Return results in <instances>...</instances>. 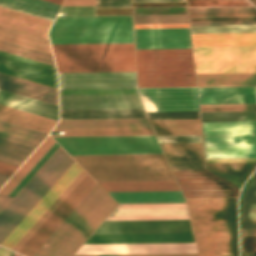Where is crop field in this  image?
<instances>
[{"mask_svg":"<svg viewBox=\"0 0 256 256\" xmlns=\"http://www.w3.org/2000/svg\"><path fill=\"white\" fill-rule=\"evenodd\" d=\"M53 139L69 155L162 153L155 136ZM71 157L96 182L175 181L163 154Z\"/></svg>","mask_w":256,"mask_h":256,"instance_id":"1","label":"crop field"},{"mask_svg":"<svg viewBox=\"0 0 256 256\" xmlns=\"http://www.w3.org/2000/svg\"><path fill=\"white\" fill-rule=\"evenodd\" d=\"M186 201L199 256H238L237 198Z\"/></svg>","mask_w":256,"mask_h":256,"instance_id":"2","label":"crop field"},{"mask_svg":"<svg viewBox=\"0 0 256 256\" xmlns=\"http://www.w3.org/2000/svg\"><path fill=\"white\" fill-rule=\"evenodd\" d=\"M116 205L96 184L33 256H71Z\"/></svg>","mask_w":256,"mask_h":256,"instance_id":"3","label":"crop field"},{"mask_svg":"<svg viewBox=\"0 0 256 256\" xmlns=\"http://www.w3.org/2000/svg\"><path fill=\"white\" fill-rule=\"evenodd\" d=\"M51 44L133 43L131 16L56 17Z\"/></svg>","mask_w":256,"mask_h":256,"instance_id":"4","label":"crop field"},{"mask_svg":"<svg viewBox=\"0 0 256 256\" xmlns=\"http://www.w3.org/2000/svg\"><path fill=\"white\" fill-rule=\"evenodd\" d=\"M51 47L58 72L135 71L133 44Z\"/></svg>","mask_w":256,"mask_h":256,"instance_id":"5","label":"crop field"},{"mask_svg":"<svg viewBox=\"0 0 256 256\" xmlns=\"http://www.w3.org/2000/svg\"><path fill=\"white\" fill-rule=\"evenodd\" d=\"M138 87L195 86L191 49L136 50Z\"/></svg>","mask_w":256,"mask_h":256,"instance_id":"6","label":"crop field"},{"mask_svg":"<svg viewBox=\"0 0 256 256\" xmlns=\"http://www.w3.org/2000/svg\"><path fill=\"white\" fill-rule=\"evenodd\" d=\"M74 161L59 147L0 212V244Z\"/></svg>","mask_w":256,"mask_h":256,"instance_id":"7","label":"crop field"},{"mask_svg":"<svg viewBox=\"0 0 256 256\" xmlns=\"http://www.w3.org/2000/svg\"><path fill=\"white\" fill-rule=\"evenodd\" d=\"M206 159L256 158V122L202 123Z\"/></svg>","mask_w":256,"mask_h":256,"instance_id":"8","label":"crop field"},{"mask_svg":"<svg viewBox=\"0 0 256 256\" xmlns=\"http://www.w3.org/2000/svg\"><path fill=\"white\" fill-rule=\"evenodd\" d=\"M196 73L256 72V46L192 47Z\"/></svg>","mask_w":256,"mask_h":256,"instance_id":"9","label":"crop field"},{"mask_svg":"<svg viewBox=\"0 0 256 256\" xmlns=\"http://www.w3.org/2000/svg\"><path fill=\"white\" fill-rule=\"evenodd\" d=\"M60 110L143 108L136 89L59 90Z\"/></svg>","mask_w":256,"mask_h":256,"instance_id":"10","label":"crop field"},{"mask_svg":"<svg viewBox=\"0 0 256 256\" xmlns=\"http://www.w3.org/2000/svg\"><path fill=\"white\" fill-rule=\"evenodd\" d=\"M96 183L86 174L18 253L32 256Z\"/></svg>","mask_w":256,"mask_h":256,"instance_id":"11","label":"crop field"},{"mask_svg":"<svg viewBox=\"0 0 256 256\" xmlns=\"http://www.w3.org/2000/svg\"><path fill=\"white\" fill-rule=\"evenodd\" d=\"M185 198L238 197L239 189L207 171H172Z\"/></svg>","mask_w":256,"mask_h":256,"instance_id":"12","label":"crop field"},{"mask_svg":"<svg viewBox=\"0 0 256 256\" xmlns=\"http://www.w3.org/2000/svg\"><path fill=\"white\" fill-rule=\"evenodd\" d=\"M146 112L198 111L196 88L139 89Z\"/></svg>","mask_w":256,"mask_h":256,"instance_id":"13","label":"crop field"},{"mask_svg":"<svg viewBox=\"0 0 256 256\" xmlns=\"http://www.w3.org/2000/svg\"><path fill=\"white\" fill-rule=\"evenodd\" d=\"M0 72L57 88L54 66L0 51Z\"/></svg>","mask_w":256,"mask_h":256,"instance_id":"14","label":"crop field"},{"mask_svg":"<svg viewBox=\"0 0 256 256\" xmlns=\"http://www.w3.org/2000/svg\"><path fill=\"white\" fill-rule=\"evenodd\" d=\"M59 88L136 87L135 72L58 73Z\"/></svg>","mask_w":256,"mask_h":256,"instance_id":"15","label":"crop field"},{"mask_svg":"<svg viewBox=\"0 0 256 256\" xmlns=\"http://www.w3.org/2000/svg\"><path fill=\"white\" fill-rule=\"evenodd\" d=\"M192 232L189 220L103 221L93 234Z\"/></svg>","mask_w":256,"mask_h":256,"instance_id":"16","label":"crop field"},{"mask_svg":"<svg viewBox=\"0 0 256 256\" xmlns=\"http://www.w3.org/2000/svg\"><path fill=\"white\" fill-rule=\"evenodd\" d=\"M189 219L186 204L118 205L105 220Z\"/></svg>","mask_w":256,"mask_h":256,"instance_id":"17","label":"crop field"},{"mask_svg":"<svg viewBox=\"0 0 256 256\" xmlns=\"http://www.w3.org/2000/svg\"><path fill=\"white\" fill-rule=\"evenodd\" d=\"M82 169L74 162L38 204L29 212L1 246L11 249Z\"/></svg>","mask_w":256,"mask_h":256,"instance_id":"18","label":"crop field"},{"mask_svg":"<svg viewBox=\"0 0 256 256\" xmlns=\"http://www.w3.org/2000/svg\"><path fill=\"white\" fill-rule=\"evenodd\" d=\"M196 253L194 243L82 245L75 255Z\"/></svg>","mask_w":256,"mask_h":256,"instance_id":"19","label":"crop field"},{"mask_svg":"<svg viewBox=\"0 0 256 256\" xmlns=\"http://www.w3.org/2000/svg\"><path fill=\"white\" fill-rule=\"evenodd\" d=\"M136 49L191 48L188 28L134 29Z\"/></svg>","mask_w":256,"mask_h":256,"instance_id":"20","label":"crop field"},{"mask_svg":"<svg viewBox=\"0 0 256 256\" xmlns=\"http://www.w3.org/2000/svg\"><path fill=\"white\" fill-rule=\"evenodd\" d=\"M190 25L256 24L254 8L187 9Z\"/></svg>","mask_w":256,"mask_h":256,"instance_id":"21","label":"crop field"},{"mask_svg":"<svg viewBox=\"0 0 256 256\" xmlns=\"http://www.w3.org/2000/svg\"><path fill=\"white\" fill-rule=\"evenodd\" d=\"M160 145L172 170H205L201 143Z\"/></svg>","mask_w":256,"mask_h":256,"instance_id":"22","label":"crop field"},{"mask_svg":"<svg viewBox=\"0 0 256 256\" xmlns=\"http://www.w3.org/2000/svg\"><path fill=\"white\" fill-rule=\"evenodd\" d=\"M194 242L192 233L91 235L84 244Z\"/></svg>","mask_w":256,"mask_h":256,"instance_id":"23","label":"crop field"},{"mask_svg":"<svg viewBox=\"0 0 256 256\" xmlns=\"http://www.w3.org/2000/svg\"><path fill=\"white\" fill-rule=\"evenodd\" d=\"M50 24L51 21L0 7V26L2 27L47 39Z\"/></svg>","mask_w":256,"mask_h":256,"instance_id":"24","label":"crop field"},{"mask_svg":"<svg viewBox=\"0 0 256 256\" xmlns=\"http://www.w3.org/2000/svg\"><path fill=\"white\" fill-rule=\"evenodd\" d=\"M0 89L57 106V90L1 73Z\"/></svg>","mask_w":256,"mask_h":256,"instance_id":"25","label":"crop field"},{"mask_svg":"<svg viewBox=\"0 0 256 256\" xmlns=\"http://www.w3.org/2000/svg\"><path fill=\"white\" fill-rule=\"evenodd\" d=\"M0 104L58 121L57 107L0 90Z\"/></svg>","mask_w":256,"mask_h":256,"instance_id":"26","label":"crop field"},{"mask_svg":"<svg viewBox=\"0 0 256 256\" xmlns=\"http://www.w3.org/2000/svg\"><path fill=\"white\" fill-rule=\"evenodd\" d=\"M0 120L46 134H49L51 129L56 124V121L35 116L2 105H0Z\"/></svg>","mask_w":256,"mask_h":256,"instance_id":"27","label":"crop field"},{"mask_svg":"<svg viewBox=\"0 0 256 256\" xmlns=\"http://www.w3.org/2000/svg\"><path fill=\"white\" fill-rule=\"evenodd\" d=\"M192 46L256 45V33L191 34Z\"/></svg>","mask_w":256,"mask_h":256,"instance_id":"28","label":"crop field"},{"mask_svg":"<svg viewBox=\"0 0 256 256\" xmlns=\"http://www.w3.org/2000/svg\"><path fill=\"white\" fill-rule=\"evenodd\" d=\"M0 6L51 21L61 7L43 0H0Z\"/></svg>","mask_w":256,"mask_h":256,"instance_id":"29","label":"crop field"},{"mask_svg":"<svg viewBox=\"0 0 256 256\" xmlns=\"http://www.w3.org/2000/svg\"><path fill=\"white\" fill-rule=\"evenodd\" d=\"M117 203L185 202L180 191L108 193Z\"/></svg>","mask_w":256,"mask_h":256,"instance_id":"30","label":"crop field"},{"mask_svg":"<svg viewBox=\"0 0 256 256\" xmlns=\"http://www.w3.org/2000/svg\"><path fill=\"white\" fill-rule=\"evenodd\" d=\"M150 127L147 119L60 120L55 128Z\"/></svg>","mask_w":256,"mask_h":256,"instance_id":"31","label":"crop field"},{"mask_svg":"<svg viewBox=\"0 0 256 256\" xmlns=\"http://www.w3.org/2000/svg\"><path fill=\"white\" fill-rule=\"evenodd\" d=\"M155 135H201L199 120H149Z\"/></svg>","mask_w":256,"mask_h":256,"instance_id":"32","label":"crop field"},{"mask_svg":"<svg viewBox=\"0 0 256 256\" xmlns=\"http://www.w3.org/2000/svg\"><path fill=\"white\" fill-rule=\"evenodd\" d=\"M146 118L143 109L60 111V119Z\"/></svg>","mask_w":256,"mask_h":256,"instance_id":"33","label":"crop field"},{"mask_svg":"<svg viewBox=\"0 0 256 256\" xmlns=\"http://www.w3.org/2000/svg\"><path fill=\"white\" fill-rule=\"evenodd\" d=\"M197 86L256 85V73L196 74Z\"/></svg>","mask_w":256,"mask_h":256,"instance_id":"34","label":"crop field"},{"mask_svg":"<svg viewBox=\"0 0 256 256\" xmlns=\"http://www.w3.org/2000/svg\"><path fill=\"white\" fill-rule=\"evenodd\" d=\"M53 131H64V135L51 137L154 135L151 128L53 129Z\"/></svg>","mask_w":256,"mask_h":256,"instance_id":"35","label":"crop field"},{"mask_svg":"<svg viewBox=\"0 0 256 256\" xmlns=\"http://www.w3.org/2000/svg\"><path fill=\"white\" fill-rule=\"evenodd\" d=\"M55 142L48 136L11 179L2 187L0 194L8 196Z\"/></svg>","mask_w":256,"mask_h":256,"instance_id":"36","label":"crop field"},{"mask_svg":"<svg viewBox=\"0 0 256 256\" xmlns=\"http://www.w3.org/2000/svg\"><path fill=\"white\" fill-rule=\"evenodd\" d=\"M206 167L210 171L241 186L255 169L256 163L206 164Z\"/></svg>","mask_w":256,"mask_h":256,"instance_id":"37","label":"crop field"},{"mask_svg":"<svg viewBox=\"0 0 256 256\" xmlns=\"http://www.w3.org/2000/svg\"><path fill=\"white\" fill-rule=\"evenodd\" d=\"M0 40L51 54L49 42L47 40L15 32L2 27H0Z\"/></svg>","mask_w":256,"mask_h":256,"instance_id":"38","label":"crop field"},{"mask_svg":"<svg viewBox=\"0 0 256 256\" xmlns=\"http://www.w3.org/2000/svg\"><path fill=\"white\" fill-rule=\"evenodd\" d=\"M106 192L179 190L176 182L98 183Z\"/></svg>","mask_w":256,"mask_h":256,"instance_id":"39","label":"crop field"},{"mask_svg":"<svg viewBox=\"0 0 256 256\" xmlns=\"http://www.w3.org/2000/svg\"><path fill=\"white\" fill-rule=\"evenodd\" d=\"M35 147L0 138V161L20 166Z\"/></svg>","mask_w":256,"mask_h":256,"instance_id":"40","label":"crop field"},{"mask_svg":"<svg viewBox=\"0 0 256 256\" xmlns=\"http://www.w3.org/2000/svg\"><path fill=\"white\" fill-rule=\"evenodd\" d=\"M47 135L0 122V137L37 147Z\"/></svg>","mask_w":256,"mask_h":256,"instance_id":"41","label":"crop field"},{"mask_svg":"<svg viewBox=\"0 0 256 256\" xmlns=\"http://www.w3.org/2000/svg\"><path fill=\"white\" fill-rule=\"evenodd\" d=\"M86 173L82 170L79 175L70 183V185L61 193V195L52 203V205L43 213V215L34 223V225L25 233V235L12 248L18 251L20 247L28 240L35 230L43 223V221L51 214V212L59 205V203L67 196L74 186L82 179Z\"/></svg>","mask_w":256,"mask_h":256,"instance_id":"42","label":"crop field"},{"mask_svg":"<svg viewBox=\"0 0 256 256\" xmlns=\"http://www.w3.org/2000/svg\"><path fill=\"white\" fill-rule=\"evenodd\" d=\"M256 220V176L245 188L242 202V221Z\"/></svg>","mask_w":256,"mask_h":256,"instance_id":"43","label":"crop field"},{"mask_svg":"<svg viewBox=\"0 0 256 256\" xmlns=\"http://www.w3.org/2000/svg\"><path fill=\"white\" fill-rule=\"evenodd\" d=\"M0 50L50 65H54L53 57L44 53H40L34 50L16 46L10 43L0 41ZM55 66V65H54Z\"/></svg>","mask_w":256,"mask_h":256,"instance_id":"44","label":"crop field"},{"mask_svg":"<svg viewBox=\"0 0 256 256\" xmlns=\"http://www.w3.org/2000/svg\"><path fill=\"white\" fill-rule=\"evenodd\" d=\"M202 122L256 121V112L201 113Z\"/></svg>","mask_w":256,"mask_h":256,"instance_id":"45","label":"crop field"},{"mask_svg":"<svg viewBox=\"0 0 256 256\" xmlns=\"http://www.w3.org/2000/svg\"><path fill=\"white\" fill-rule=\"evenodd\" d=\"M191 33L256 32V25L190 26Z\"/></svg>","mask_w":256,"mask_h":256,"instance_id":"46","label":"crop field"},{"mask_svg":"<svg viewBox=\"0 0 256 256\" xmlns=\"http://www.w3.org/2000/svg\"><path fill=\"white\" fill-rule=\"evenodd\" d=\"M200 104L256 103L255 95L199 96Z\"/></svg>","mask_w":256,"mask_h":256,"instance_id":"47","label":"crop field"},{"mask_svg":"<svg viewBox=\"0 0 256 256\" xmlns=\"http://www.w3.org/2000/svg\"><path fill=\"white\" fill-rule=\"evenodd\" d=\"M134 24L188 23L186 15L133 16Z\"/></svg>","mask_w":256,"mask_h":256,"instance_id":"48","label":"crop field"},{"mask_svg":"<svg viewBox=\"0 0 256 256\" xmlns=\"http://www.w3.org/2000/svg\"><path fill=\"white\" fill-rule=\"evenodd\" d=\"M256 87L198 88L199 95L255 94Z\"/></svg>","mask_w":256,"mask_h":256,"instance_id":"49","label":"crop field"},{"mask_svg":"<svg viewBox=\"0 0 256 256\" xmlns=\"http://www.w3.org/2000/svg\"><path fill=\"white\" fill-rule=\"evenodd\" d=\"M201 112L256 111V104L200 105Z\"/></svg>","mask_w":256,"mask_h":256,"instance_id":"50","label":"crop field"},{"mask_svg":"<svg viewBox=\"0 0 256 256\" xmlns=\"http://www.w3.org/2000/svg\"><path fill=\"white\" fill-rule=\"evenodd\" d=\"M149 119H199L198 112L146 113Z\"/></svg>","mask_w":256,"mask_h":256,"instance_id":"51","label":"crop field"},{"mask_svg":"<svg viewBox=\"0 0 256 256\" xmlns=\"http://www.w3.org/2000/svg\"><path fill=\"white\" fill-rule=\"evenodd\" d=\"M59 146L55 143L52 148L44 155V157L36 164V166L28 173V175L20 182V184L9 195L14 197L18 191L27 183V181L36 173V171L45 163V161L54 153Z\"/></svg>","mask_w":256,"mask_h":256,"instance_id":"52","label":"crop field"},{"mask_svg":"<svg viewBox=\"0 0 256 256\" xmlns=\"http://www.w3.org/2000/svg\"><path fill=\"white\" fill-rule=\"evenodd\" d=\"M62 16L95 15L94 6L62 7Z\"/></svg>","mask_w":256,"mask_h":256,"instance_id":"53","label":"crop field"},{"mask_svg":"<svg viewBox=\"0 0 256 256\" xmlns=\"http://www.w3.org/2000/svg\"><path fill=\"white\" fill-rule=\"evenodd\" d=\"M159 143L201 142V136H156Z\"/></svg>","mask_w":256,"mask_h":256,"instance_id":"54","label":"crop field"},{"mask_svg":"<svg viewBox=\"0 0 256 256\" xmlns=\"http://www.w3.org/2000/svg\"><path fill=\"white\" fill-rule=\"evenodd\" d=\"M96 8L131 7L130 0H95Z\"/></svg>","mask_w":256,"mask_h":256,"instance_id":"55","label":"crop field"},{"mask_svg":"<svg viewBox=\"0 0 256 256\" xmlns=\"http://www.w3.org/2000/svg\"><path fill=\"white\" fill-rule=\"evenodd\" d=\"M244 252L256 251V237H243Z\"/></svg>","mask_w":256,"mask_h":256,"instance_id":"56","label":"crop field"},{"mask_svg":"<svg viewBox=\"0 0 256 256\" xmlns=\"http://www.w3.org/2000/svg\"><path fill=\"white\" fill-rule=\"evenodd\" d=\"M94 5V0H64L62 6Z\"/></svg>","mask_w":256,"mask_h":256,"instance_id":"57","label":"crop field"},{"mask_svg":"<svg viewBox=\"0 0 256 256\" xmlns=\"http://www.w3.org/2000/svg\"><path fill=\"white\" fill-rule=\"evenodd\" d=\"M18 166L0 162V173L11 176Z\"/></svg>","mask_w":256,"mask_h":256,"instance_id":"58","label":"crop field"},{"mask_svg":"<svg viewBox=\"0 0 256 256\" xmlns=\"http://www.w3.org/2000/svg\"><path fill=\"white\" fill-rule=\"evenodd\" d=\"M84 256H196V254L84 255Z\"/></svg>","mask_w":256,"mask_h":256,"instance_id":"59","label":"crop field"},{"mask_svg":"<svg viewBox=\"0 0 256 256\" xmlns=\"http://www.w3.org/2000/svg\"><path fill=\"white\" fill-rule=\"evenodd\" d=\"M188 27V24L134 25V28Z\"/></svg>","mask_w":256,"mask_h":256,"instance_id":"60","label":"crop field"},{"mask_svg":"<svg viewBox=\"0 0 256 256\" xmlns=\"http://www.w3.org/2000/svg\"><path fill=\"white\" fill-rule=\"evenodd\" d=\"M256 162V159L206 160V163Z\"/></svg>","mask_w":256,"mask_h":256,"instance_id":"61","label":"crop field"},{"mask_svg":"<svg viewBox=\"0 0 256 256\" xmlns=\"http://www.w3.org/2000/svg\"><path fill=\"white\" fill-rule=\"evenodd\" d=\"M133 2H185V0H133Z\"/></svg>","mask_w":256,"mask_h":256,"instance_id":"62","label":"crop field"},{"mask_svg":"<svg viewBox=\"0 0 256 256\" xmlns=\"http://www.w3.org/2000/svg\"><path fill=\"white\" fill-rule=\"evenodd\" d=\"M0 256H20V255L0 247Z\"/></svg>","mask_w":256,"mask_h":256,"instance_id":"63","label":"crop field"},{"mask_svg":"<svg viewBox=\"0 0 256 256\" xmlns=\"http://www.w3.org/2000/svg\"><path fill=\"white\" fill-rule=\"evenodd\" d=\"M11 198L0 195V211L6 206Z\"/></svg>","mask_w":256,"mask_h":256,"instance_id":"64","label":"crop field"},{"mask_svg":"<svg viewBox=\"0 0 256 256\" xmlns=\"http://www.w3.org/2000/svg\"><path fill=\"white\" fill-rule=\"evenodd\" d=\"M243 236H256V229H243Z\"/></svg>","mask_w":256,"mask_h":256,"instance_id":"65","label":"crop field"},{"mask_svg":"<svg viewBox=\"0 0 256 256\" xmlns=\"http://www.w3.org/2000/svg\"><path fill=\"white\" fill-rule=\"evenodd\" d=\"M243 228H256L255 222H242Z\"/></svg>","mask_w":256,"mask_h":256,"instance_id":"66","label":"crop field"},{"mask_svg":"<svg viewBox=\"0 0 256 256\" xmlns=\"http://www.w3.org/2000/svg\"><path fill=\"white\" fill-rule=\"evenodd\" d=\"M9 178V176H5L0 174V187L6 182V180Z\"/></svg>","mask_w":256,"mask_h":256,"instance_id":"67","label":"crop field"},{"mask_svg":"<svg viewBox=\"0 0 256 256\" xmlns=\"http://www.w3.org/2000/svg\"><path fill=\"white\" fill-rule=\"evenodd\" d=\"M46 1H50V2H53V3L61 5L63 0H46Z\"/></svg>","mask_w":256,"mask_h":256,"instance_id":"68","label":"crop field"},{"mask_svg":"<svg viewBox=\"0 0 256 256\" xmlns=\"http://www.w3.org/2000/svg\"><path fill=\"white\" fill-rule=\"evenodd\" d=\"M244 256H255V252H252V253H244Z\"/></svg>","mask_w":256,"mask_h":256,"instance_id":"69","label":"crop field"},{"mask_svg":"<svg viewBox=\"0 0 256 256\" xmlns=\"http://www.w3.org/2000/svg\"><path fill=\"white\" fill-rule=\"evenodd\" d=\"M256 5V0H251Z\"/></svg>","mask_w":256,"mask_h":256,"instance_id":"70","label":"crop field"}]
</instances>
